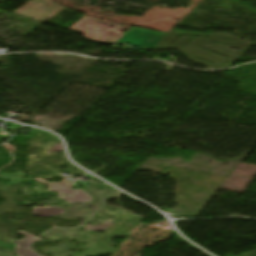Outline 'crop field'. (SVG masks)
<instances>
[{"label": "crop field", "mask_w": 256, "mask_h": 256, "mask_svg": "<svg viewBox=\"0 0 256 256\" xmlns=\"http://www.w3.org/2000/svg\"><path fill=\"white\" fill-rule=\"evenodd\" d=\"M18 233L25 236V239L18 240L16 243L15 253L17 256H40L31 249V243L41 241L42 239L18 230Z\"/></svg>", "instance_id": "obj_3"}, {"label": "crop field", "mask_w": 256, "mask_h": 256, "mask_svg": "<svg viewBox=\"0 0 256 256\" xmlns=\"http://www.w3.org/2000/svg\"><path fill=\"white\" fill-rule=\"evenodd\" d=\"M37 182L43 183V184H48L51 190H46V191H51V192H58L59 199L65 200L68 203H81V202H90L93 201V197L89 196L88 193L84 192V189H78V190H73L71 189L72 186H69L64 183H59V182H47L44 179L41 178H33ZM62 194H69L72 195V197L65 196L62 198Z\"/></svg>", "instance_id": "obj_2"}, {"label": "crop field", "mask_w": 256, "mask_h": 256, "mask_svg": "<svg viewBox=\"0 0 256 256\" xmlns=\"http://www.w3.org/2000/svg\"><path fill=\"white\" fill-rule=\"evenodd\" d=\"M34 216H56L64 214V211L60 207H37L33 208Z\"/></svg>", "instance_id": "obj_4"}, {"label": "crop field", "mask_w": 256, "mask_h": 256, "mask_svg": "<svg viewBox=\"0 0 256 256\" xmlns=\"http://www.w3.org/2000/svg\"><path fill=\"white\" fill-rule=\"evenodd\" d=\"M162 36L161 33L131 29L116 44L134 45L141 50L148 51Z\"/></svg>", "instance_id": "obj_1"}, {"label": "crop field", "mask_w": 256, "mask_h": 256, "mask_svg": "<svg viewBox=\"0 0 256 256\" xmlns=\"http://www.w3.org/2000/svg\"><path fill=\"white\" fill-rule=\"evenodd\" d=\"M62 150V144L55 143L46 154H48L49 152H61Z\"/></svg>", "instance_id": "obj_6"}, {"label": "crop field", "mask_w": 256, "mask_h": 256, "mask_svg": "<svg viewBox=\"0 0 256 256\" xmlns=\"http://www.w3.org/2000/svg\"><path fill=\"white\" fill-rule=\"evenodd\" d=\"M113 223L109 221H105L100 226H93V225H86L84 229L90 230V231H105L107 228H109Z\"/></svg>", "instance_id": "obj_5"}]
</instances>
